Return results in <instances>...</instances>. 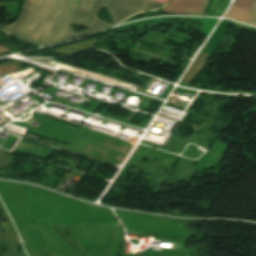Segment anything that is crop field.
I'll return each instance as SVG.
<instances>
[{"label":"crop field","mask_w":256,"mask_h":256,"mask_svg":"<svg viewBox=\"0 0 256 256\" xmlns=\"http://www.w3.org/2000/svg\"><path fill=\"white\" fill-rule=\"evenodd\" d=\"M103 6L107 7L115 24L135 12L163 4L147 0H24L19 20L4 29L47 45L111 26L95 17ZM71 23L88 29L76 33L71 30Z\"/></svg>","instance_id":"obj_1"},{"label":"crop field","mask_w":256,"mask_h":256,"mask_svg":"<svg viewBox=\"0 0 256 256\" xmlns=\"http://www.w3.org/2000/svg\"><path fill=\"white\" fill-rule=\"evenodd\" d=\"M209 0H173L162 12L202 15Z\"/></svg>","instance_id":"obj_2"},{"label":"crop field","mask_w":256,"mask_h":256,"mask_svg":"<svg viewBox=\"0 0 256 256\" xmlns=\"http://www.w3.org/2000/svg\"><path fill=\"white\" fill-rule=\"evenodd\" d=\"M225 17L256 25V13L241 8L231 6Z\"/></svg>","instance_id":"obj_3"},{"label":"crop field","mask_w":256,"mask_h":256,"mask_svg":"<svg viewBox=\"0 0 256 256\" xmlns=\"http://www.w3.org/2000/svg\"><path fill=\"white\" fill-rule=\"evenodd\" d=\"M233 5L256 11V0H235Z\"/></svg>","instance_id":"obj_4"},{"label":"crop field","mask_w":256,"mask_h":256,"mask_svg":"<svg viewBox=\"0 0 256 256\" xmlns=\"http://www.w3.org/2000/svg\"><path fill=\"white\" fill-rule=\"evenodd\" d=\"M17 70H19V68L14 63L0 66V74L11 73Z\"/></svg>","instance_id":"obj_5"},{"label":"crop field","mask_w":256,"mask_h":256,"mask_svg":"<svg viewBox=\"0 0 256 256\" xmlns=\"http://www.w3.org/2000/svg\"><path fill=\"white\" fill-rule=\"evenodd\" d=\"M152 1H156V2H160V3L166 4L169 0H152Z\"/></svg>","instance_id":"obj_6"},{"label":"crop field","mask_w":256,"mask_h":256,"mask_svg":"<svg viewBox=\"0 0 256 256\" xmlns=\"http://www.w3.org/2000/svg\"><path fill=\"white\" fill-rule=\"evenodd\" d=\"M6 51H9V50H7L6 48H4V47L0 46V53H2V52H6Z\"/></svg>","instance_id":"obj_7"}]
</instances>
